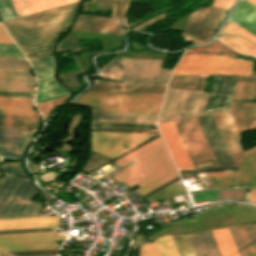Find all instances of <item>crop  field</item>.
Instances as JSON below:
<instances>
[{"label":"crop field","mask_w":256,"mask_h":256,"mask_svg":"<svg viewBox=\"0 0 256 256\" xmlns=\"http://www.w3.org/2000/svg\"><path fill=\"white\" fill-rule=\"evenodd\" d=\"M80 3V2H79ZM79 3L3 22L29 61L52 55L61 31H67Z\"/></svg>","instance_id":"1"},{"label":"crop field","mask_w":256,"mask_h":256,"mask_svg":"<svg viewBox=\"0 0 256 256\" xmlns=\"http://www.w3.org/2000/svg\"><path fill=\"white\" fill-rule=\"evenodd\" d=\"M135 161L137 164L114 175L129 186L138 183L143 188L137 190L141 195L179 176L174 167L162 137L138 148L115 161L121 166Z\"/></svg>","instance_id":"2"},{"label":"crop field","mask_w":256,"mask_h":256,"mask_svg":"<svg viewBox=\"0 0 256 256\" xmlns=\"http://www.w3.org/2000/svg\"><path fill=\"white\" fill-rule=\"evenodd\" d=\"M164 60L114 58L99 68L100 73H118L116 79L125 82L94 80L93 84L166 86L171 70L162 69Z\"/></svg>","instance_id":"3"},{"label":"crop field","mask_w":256,"mask_h":256,"mask_svg":"<svg viewBox=\"0 0 256 256\" xmlns=\"http://www.w3.org/2000/svg\"><path fill=\"white\" fill-rule=\"evenodd\" d=\"M164 94L87 92L72 104L92 111L158 113Z\"/></svg>","instance_id":"4"},{"label":"crop field","mask_w":256,"mask_h":256,"mask_svg":"<svg viewBox=\"0 0 256 256\" xmlns=\"http://www.w3.org/2000/svg\"><path fill=\"white\" fill-rule=\"evenodd\" d=\"M38 192L32 183L7 174L0 177V218L43 216L42 204L31 200Z\"/></svg>","instance_id":"5"},{"label":"crop field","mask_w":256,"mask_h":256,"mask_svg":"<svg viewBox=\"0 0 256 256\" xmlns=\"http://www.w3.org/2000/svg\"><path fill=\"white\" fill-rule=\"evenodd\" d=\"M252 61L226 56H182L173 74H250Z\"/></svg>","instance_id":"6"},{"label":"crop field","mask_w":256,"mask_h":256,"mask_svg":"<svg viewBox=\"0 0 256 256\" xmlns=\"http://www.w3.org/2000/svg\"><path fill=\"white\" fill-rule=\"evenodd\" d=\"M158 135L160 133L90 131L91 151L114 160Z\"/></svg>","instance_id":"7"},{"label":"crop field","mask_w":256,"mask_h":256,"mask_svg":"<svg viewBox=\"0 0 256 256\" xmlns=\"http://www.w3.org/2000/svg\"><path fill=\"white\" fill-rule=\"evenodd\" d=\"M207 95L168 88L158 122L202 113Z\"/></svg>","instance_id":"8"},{"label":"crop field","mask_w":256,"mask_h":256,"mask_svg":"<svg viewBox=\"0 0 256 256\" xmlns=\"http://www.w3.org/2000/svg\"><path fill=\"white\" fill-rule=\"evenodd\" d=\"M228 10L208 7L192 12L183 30L182 37L184 40L193 41L194 45L210 41Z\"/></svg>","instance_id":"9"},{"label":"crop field","mask_w":256,"mask_h":256,"mask_svg":"<svg viewBox=\"0 0 256 256\" xmlns=\"http://www.w3.org/2000/svg\"><path fill=\"white\" fill-rule=\"evenodd\" d=\"M173 122L195 169V163L209 160L218 166L195 117Z\"/></svg>","instance_id":"10"},{"label":"crop field","mask_w":256,"mask_h":256,"mask_svg":"<svg viewBox=\"0 0 256 256\" xmlns=\"http://www.w3.org/2000/svg\"><path fill=\"white\" fill-rule=\"evenodd\" d=\"M33 79L23 60L0 59V90L32 91Z\"/></svg>","instance_id":"11"},{"label":"crop field","mask_w":256,"mask_h":256,"mask_svg":"<svg viewBox=\"0 0 256 256\" xmlns=\"http://www.w3.org/2000/svg\"><path fill=\"white\" fill-rule=\"evenodd\" d=\"M219 166L235 165L211 113L196 117Z\"/></svg>","instance_id":"12"},{"label":"crop field","mask_w":256,"mask_h":256,"mask_svg":"<svg viewBox=\"0 0 256 256\" xmlns=\"http://www.w3.org/2000/svg\"><path fill=\"white\" fill-rule=\"evenodd\" d=\"M217 38L241 53L256 56V37L229 19Z\"/></svg>","instance_id":"13"},{"label":"crop field","mask_w":256,"mask_h":256,"mask_svg":"<svg viewBox=\"0 0 256 256\" xmlns=\"http://www.w3.org/2000/svg\"><path fill=\"white\" fill-rule=\"evenodd\" d=\"M33 130L0 129V155L24 157Z\"/></svg>","instance_id":"14"},{"label":"crop field","mask_w":256,"mask_h":256,"mask_svg":"<svg viewBox=\"0 0 256 256\" xmlns=\"http://www.w3.org/2000/svg\"><path fill=\"white\" fill-rule=\"evenodd\" d=\"M236 165H239L242 150L238 144L239 131L228 110L212 113Z\"/></svg>","instance_id":"15"},{"label":"crop field","mask_w":256,"mask_h":256,"mask_svg":"<svg viewBox=\"0 0 256 256\" xmlns=\"http://www.w3.org/2000/svg\"><path fill=\"white\" fill-rule=\"evenodd\" d=\"M179 169H194L172 121L158 124Z\"/></svg>","instance_id":"16"},{"label":"crop field","mask_w":256,"mask_h":256,"mask_svg":"<svg viewBox=\"0 0 256 256\" xmlns=\"http://www.w3.org/2000/svg\"><path fill=\"white\" fill-rule=\"evenodd\" d=\"M228 229L240 256H256V224Z\"/></svg>","instance_id":"17"},{"label":"crop field","mask_w":256,"mask_h":256,"mask_svg":"<svg viewBox=\"0 0 256 256\" xmlns=\"http://www.w3.org/2000/svg\"><path fill=\"white\" fill-rule=\"evenodd\" d=\"M229 19L256 36V7L246 0L237 2Z\"/></svg>","instance_id":"18"},{"label":"crop field","mask_w":256,"mask_h":256,"mask_svg":"<svg viewBox=\"0 0 256 256\" xmlns=\"http://www.w3.org/2000/svg\"><path fill=\"white\" fill-rule=\"evenodd\" d=\"M80 0H12L17 16H24Z\"/></svg>","instance_id":"19"},{"label":"crop field","mask_w":256,"mask_h":256,"mask_svg":"<svg viewBox=\"0 0 256 256\" xmlns=\"http://www.w3.org/2000/svg\"><path fill=\"white\" fill-rule=\"evenodd\" d=\"M92 121L156 123L158 114L92 112Z\"/></svg>","instance_id":"20"},{"label":"crop field","mask_w":256,"mask_h":256,"mask_svg":"<svg viewBox=\"0 0 256 256\" xmlns=\"http://www.w3.org/2000/svg\"><path fill=\"white\" fill-rule=\"evenodd\" d=\"M187 236L196 256H221L210 231Z\"/></svg>","instance_id":"21"},{"label":"crop field","mask_w":256,"mask_h":256,"mask_svg":"<svg viewBox=\"0 0 256 256\" xmlns=\"http://www.w3.org/2000/svg\"><path fill=\"white\" fill-rule=\"evenodd\" d=\"M256 186V146L243 154L237 187Z\"/></svg>","instance_id":"22"},{"label":"crop field","mask_w":256,"mask_h":256,"mask_svg":"<svg viewBox=\"0 0 256 256\" xmlns=\"http://www.w3.org/2000/svg\"><path fill=\"white\" fill-rule=\"evenodd\" d=\"M230 110L241 131L256 128V105L232 102Z\"/></svg>","instance_id":"23"},{"label":"crop field","mask_w":256,"mask_h":256,"mask_svg":"<svg viewBox=\"0 0 256 256\" xmlns=\"http://www.w3.org/2000/svg\"><path fill=\"white\" fill-rule=\"evenodd\" d=\"M59 217L0 219V229L57 226Z\"/></svg>","instance_id":"24"},{"label":"crop field","mask_w":256,"mask_h":256,"mask_svg":"<svg viewBox=\"0 0 256 256\" xmlns=\"http://www.w3.org/2000/svg\"><path fill=\"white\" fill-rule=\"evenodd\" d=\"M69 94L70 92L65 90L54 76L49 77L38 81L35 104Z\"/></svg>","instance_id":"25"},{"label":"crop field","mask_w":256,"mask_h":256,"mask_svg":"<svg viewBox=\"0 0 256 256\" xmlns=\"http://www.w3.org/2000/svg\"><path fill=\"white\" fill-rule=\"evenodd\" d=\"M30 100L31 98L0 96V114L38 116L35 111L30 109Z\"/></svg>","instance_id":"26"},{"label":"crop field","mask_w":256,"mask_h":256,"mask_svg":"<svg viewBox=\"0 0 256 256\" xmlns=\"http://www.w3.org/2000/svg\"><path fill=\"white\" fill-rule=\"evenodd\" d=\"M74 26L124 30L119 19L79 15Z\"/></svg>","instance_id":"27"},{"label":"crop field","mask_w":256,"mask_h":256,"mask_svg":"<svg viewBox=\"0 0 256 256\" xmlns=\"http://www.w3.org/2000/svg\"><path fill=\"white\" fill-rule=\"evenodd\" d=\"M65 236H55V231L0 234V243L2 242H20V241H38V240H56L64 239Z\"/></svg>","instance_id":"28"},{"label":"crop field","mask_w":256,"mask_h":256,"mask_svg":"<svg viewBox=\"0 0 256 256\" xmlns=\"http://www.w3.org/2000/svg\"><path fill=\"white\" fill-rule=\"evenodd\" d=\"M222 256H239L227 228L211 231Z\"/></svg>","instance_id":"29"},{"label":"crop field","mask_w":256,"mask_h":256,"mask_svg":"<svg viewBox=\"0 0 256 256\" xmlns=\"http://www.w3.org/2000/svg\"><path fill=\"white\" fill-rule=\"evenodd\" d=\"M166 87L94 85L89 91L164 93Z\"/></svg>","instance_id":"30"},{"label":"crop field","mask_w":256,"mask_h":256,"mask_svg":"<svg viewBox=\"0 0 256 256\" xmlns=\"http://www.w3.org/2000/svg\"><path fill=\"white\" fill-rule=\"evenodd\" d=\"M41 117L0 115V127L36 128Z\"/></svg>","instance_id":"31"},{"label":"crop field","mask_w":256,"mask_h":256,"mask_svg":"<svg viewBox=\"0 0 256 256\" xmlns=\"http://www.w3.org/2000/svg\"><path fill=\"white\" fill-rule=\"evenodd\" d=\"M59 245L53 241L43 242H23V243H3L0 244V252L5 251H20V250H35V249H50L57 248Z\"/></svg>","instance_id":"32"},{"label":"crop field","mask_w":256,"mask_h":256,"mask_svg":"<svg viewBox=\"0 0 256 256\" xmlns=\"http://www.w3.org/2000/svg\"><path fill=\"white\" fill-rule=\"evenodd\" d=\"M213 188L235 187L238 172L206 173Z\"/></svg>","instance_id":"33"},{"label":"crop field","mask_w":256,"mask_h":256,"mask_svg":"<svg viewBox=\"0 0 256 256\" xmlns=\"http://www.w3.org/2000/svg\"><path fill=\"white\" fill-rule=\"evenodd\" d=\"M31 64L36 72L38 80L54 75L53 70L55 65V58L53 55L31 61Z\"/></svg>","instance_id":"34"},{"label":"crop field","mask_w":256,"mask_h":256,"mask_svg":"<svg viewBox=\"0 0 256 256\" xmlns=\"http://www.w3.org/2000/svg\"><path fill=\"white\" fill-rule=\"evenodd\" d=\"M256 76L241 75L233 99H250Z\"/></svg>","instance_id":"35"},{"label":"crop field","mask_w":256,"mask_h":256,"mask_svg":"<svg viewBox=\"0 0 256 256\" xmlns=\"http://www.w3.org/2000/svg\"><path fill=\"white\" fill-rule=\"evenodd\" d=\"M237 78V76H216L211 92L232 95Z\"/></svg>","instance_id":"36"},{"label":"crop field","mask_w":256,"mask_h":256,"mask_svg":"<svg viewBox=\"0 0 256 256\" xmlns=\"http://www.w3.org/2000/svg\"><path fill=\"white\" fill-rule=\"evenodd\" d=\"M198 76L172 75L168 87L194 90Z\"/></svg>","instance_id":"37"},{"label":"crop field","mask_w":256,"mask_h":256,"mask_svg":"<svg viewBox=\"0 0 256 256\" xmlns=\"http://www.w3.org/2000/svg\"><path fill=\"white\" fill-rule=\"evenodd\" d=\"M231 98L232 97L210 94L204 113L227 109Z\"/></svg>","instance_id":"38"},{"label":"crop field","mask_w":256,"mask_h":256,"mask_svg":"<svg viewBox=\"0 0 256 256\" xmlns=\"http://www.w3.org/2000/svg\"><path fill=\"white\" fill-rule=\"evenodd\" d=\"M185 192L186 191H185L183 184L177 185L175 182L145 199L149 203H151L158 199H162L165 197H169V196H173V195H177V194H181V193H185Z\"/></svg>","instance_id":"39"},{"label":"crop field","mask_w":256,"mask_h":256,"mask_svg":"<svg viewBox=\"0 0 256 256\" xmlns=\"http://www.w3.org/2000/svg\"><path fill=\"white\" fill-rule=\"evenodd\" d=\"M180 256H195L186 235L171 236Z\"/></svg>","instance_id":"40"},{"label":"crop field","mask_w":256,"mask_h":256,"mask_svg":"<svg viewBox=\"0 0 256 256\" xmlns=\"http://www.w3.org/2000/svg\"><path fill=\"white\" fill-rule=\"evenodd\" d=\"M162 256H179L170 236L155 240Z\"/></svg>","instance_id":"41"},{"label":"crop field","mask_w":256,"mask_h":256,"mask_svg":"<svg viewBox=\"0 0 256 256\" xmlns=\"http://www.w3.org/2000/svg\"><path fill=\"white\" fill-rule=\"evenodd\" d=\"M92 127L158 129L155 124L92 123Z\"/></svg>","instance_id":"42"},{"label":"crop field","mask_w":256,"mask_h":256,"mask_svg":"<svg viewBox=\"0 0 256 256\" xmlns=\"http://www.w3.org/2000/svg\"><path fill=\"white\" fill-rule=\"evenodd\" d=\"M0 170H3V171H6V172H9V173H12L14 175H17V176H20V177H23V178H26L28 180H31L22 163L21 162H17V163H2L0 164Z\"/></svg>","instance_id":"43"},{"label":"crop field","mask_w":256,"mask_h":256,"mask_svg":"<svg viewBox=\"0 0 256 256\" xmlns=\"http://www.w3.org/2000/svg\"><path fill=\"white\" fill-rule=\"evenodd\" d=\"M67 98L68 97L52 100V101H49V102L37 104L36 106L40 110V112L42 113L44 118H47V116L52 111H54L57 107H59L61 104H63Z\"/></svg>","instance_id":"44"},{"label":"crop field","mask_w":256,"mask_h":256,"mask_svg":"<svg viewBox=\"0 0 256 256\" xmlns=\"http://www.w3.org/2000/svg\"><path fill=\"white\" fill-rule=\"evenodd\" d=\"M0 57L25 58L15 44L0 43Z\"/></svg>","instance_id":"45"},{"label":"crop field","mask_w":256,"mask_h":256,"mask_svg":"<svg viewBox=\"0 0 256 256\" xmlns=\"http://www.w3.org/2000/svg\"><path fill=\"white\" fill-rule=\"evenodd\" d=\"M0 16L3 21L17 17L10 0H0Z\"/></svg>","instance_id":"46"},{"label":"crop field","mask_w":256,"mask_h":256,"mask_svg":"<svg viewBox=\"0 0 256 256\" xmlns=\"http://www.w3.org/2000/svg\"><path fill=\"white\" fill-rule=\"evenodd\" d=\"M57 249L50 250H35V251H21V252H6L0 253V256H35V255H49L51 252H56Z\"/></svg>","instance_id":"47"},{"label":"crop field","mask_w":256,"mask_h":256,"mask_svg":"<svg viewBox=\"0 0 256 256\" xmlns=\"http://www.w3.org/2000/svg\"><path fill=\"white\" fill-rule=\"evenodd\" d=\"M140 256H161L155 242L150 244H142Z\"/></svg>","instance_id":"48"},{"label":"crop field","mask_w":256,"mask_h":256,"mask_svg":"<svg viewBox=\"0 0 256 256\" xmlns=\"http://www.w3.org/2000/svg\"><path fill=\"white\" fill-rule=\"evenodd\" d=\"M238 171V167H211L202 170L179 171V173Z\"/></svg>","instance_id":"49"},{"label":"crop field","mask_w":256,"mask_h":256,"mask_svg":"<svg viewBox=\"0 0 256 256\" xmlns=\"http://www.w3.org/2000/svg\"><path fill=\"white\" fill-rule=\"evenodd\" d=\"M73 30L123 35L124 31L74 27Z\"/></svg>","instance_id":"50"},{"label":"crop field","mask_w":256,"mask_h":256,"mask_svg":"<svg viewBox=\"0 0 256 256\" xmlns=\"http://www.w3.org/2000/svg\"><path fill=\"white\" fill-rule=\"evenodd\" d=\"M47 230H55V228H54V227H47V228H31V229L0 230V233L31 232V231H47Z\"/></svg>","instance_id":"51"},{"label":"crop field","mask_w":256,"mask_h":256,"mask_svg":"<svg viewBox=\"0 0 256 256\" xmlns=\"http://www.w3.org/2000/svg\"><path fill=\"white\" fill-rule=\"evenodd\" d=\"M234 0H214L212 6L231 8Z\"/></svg>","instance_id":"52"},{"label":"crop field","mask_w":256,"mask_h":256,"mask_svg":"<svg viewBox=\"0 0 256 256\" xmlns=\"http://www.w3.org/2000/svg\"><path fill=\"white\" fill-rule=\"evenodd\" d=\"M34 93H25V92H6L0 91L1 96H21V97H31Z\"/></svg>","instance_id":"53"},{"label":"crop field","mask_w":256,"mask_h":256,"mask_svg":"<svg viewBox=\"0 0 256 256\" xmlns=\"http://www.w3.org/2000/svg\"><path fill=\"white\" fill-rule=\"evenodd\" d=\"M0 42L13 43V41L10 39V37L7 35V33L1 27V25H0Z\"/></svg>","instance_id":"54"},{"label":"crop field","mask_w":256,"mask_h":256,"mask_svg":"<svg viewBox=\"0 0 256 256\" xmlns=\"http://www.w3.org/2000/svg\"><path fill=\"white\" fill-rule=\"evenodd\" d=\"M178 179H180V177H177V178H175V179H173V180L167 182L166 184H164V185H162V186H160V187L154 189L153 191H151V192H149V193H147V194H145V195H143V196H141V197L145 198V197H147V196L153 194L154 192H156V191L162 189L163 187H165V186L171 184L172 182H174V181H176V180H178Z\"/></svg>","instance_id":"55"},{"label":"crop field","mask_w":256,"mask_h":256,"mask_svg":"<svg viewBox=\"0 0 256 256\" xmlns=\"http://www.w3.org/2000/svg\"><path fill=\"white\" fill-rule=\"evenodd\" d=\"M249 202L256 203V190H250Z\"/></svg>","instance_id":"56"},{"label":"crop field","mask_w":256,"mask_h":256,"mask_svg":"<svg viewBox=\"0 0 256 256\" xmlns=\"http://www.w3.org/2000/svg\"><path fill=\"white\" fill-rule=\"evenodd\" d=\"M247 1H249L250 3L256 6V0H247Z\"/></svg>","instance_id":"57"},{"label":"crop field","mask_w":256,"mask_h":256,"mask_svg":"<svg viewBox=\"0 0 256 256\" xmlns=\"http://www.w3.org/2000/svg\"><path fill=\"white\" fill-rule=\"evenodd\" d=\"M52 256H56V255H52Z\"/></svg>","instance_id":"58"}]
</instances>
